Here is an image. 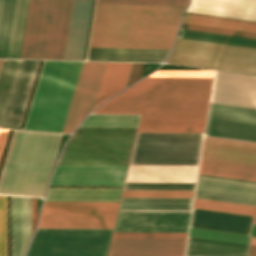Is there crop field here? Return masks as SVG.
Masks as SVG:
<instances>
[{
	"label": "crop field",
	"instance_id": "crop-field-7",
	"mask_svg": "<svg viewBox=\"0 0 256 256\" xmlns=\"http://www.w3.org/2000/svg\"><path fill=\"white\" fill-rule=\"evenodd\" d=\"M199 174L256 181V166L201 159ZM203 175L195 197L256 206V182Z\"/></svg>",
	"mask_w": 256,
	"mask_h": 256
},
{
	"label": "crop field",
	"instance_id": "crop-field-13",
	"mask_svg": "<svg viewBox=\"0 0 256 256\" xmlns=\"http://www.w3.org/2000/svg\"><path fill=\"white\" fill-rule=\"evenodd\" d=\"M108 63L84 62L62 132H73L94 107Z\"/></svg>",
	"mask_w": 256,
	"mask_h": 256
},
{
	"label": "crop field",
	"instance_id": "crop-field-47",
	"mask_svg": "<svg viewBox=\"0 0 256 256\" xmlns=\"http://www.w3.org/2000/svg\"><path fill=\"white\" fill-rule=\"evenodd\" d=\"M253 223H256V217H255V220H254V222Z\"/></svg>",
	"mask_w": 256,
	"mask_h": 256
},
{
	"label": "crop field",
	"instance_id": "crop-field-39",
	"mask_svg": "<svg viewBox=\"0 0 256 256\" xmlns=\"http://www.w3.org/2000/svg\"><path fill=\"white\" fill-rule=\"evenodd\" d=\"M0 256H7L6 197L0 196Z\"/></svg>",
	"mask_w": 256,
	"mask_h": 256
},
{
	"label": "crop field",
	"instance_id": "crop-field-6",
	"mask_svg": "<svg viewBox=\"0 0 256 256\" xmlns=\"http://www.w3.org/2000/svg\"><path fill=\"white\" fill-rule=\"evenodd\" d=\"M136 130L78 127L57 165L128 166Z\"/></svg>",
	"mask_w": 256,
	"mask_h": 256
},
{
	"label": "crop field",
	"instance_id": "crop-field-37",
	"mask_svg": "<svg viewBox=\"0 0 256 256\" xmlns=\"http://www.w3.org/2000/svg\"><path fill=\"white\" fill-rule=\"evenodd\" d=\"M187 233L114 232L112 238H186Z\"/></svg>",
	"mask_w": 256,
	"mask_h": 256
},
{
	"label": "crop field",
	"instance_id": "crop-field-5",
	"mask_svg": "<svg viewBox=\"0 0 256 256\" xmlns=\"http://www.w3.org/2000/svg\"><path fill=\"white\" fill-rule=\"evenodd\" d=\"M82 63L44 62L24 129L62 131Z\"/></svg>",
	"mask_w": 256,
	"mask_h": 256
},
{
	"label": "crop field",
	"instance_id": "crop-field-14",
	"mask_svg": "<svg viewBox=\"0 0 256 256\" xmlns=\"http://www.w3.org/2000/svg\"><path fill=\"white\" fill-rule=\"evenodd\" d=\"M127 168L57 166L50 185L123 186Z\"/></svg>",
	"mask_w": 256,
	"mask_h": 256
},
{
	"label": "crop field",
	"instance_id": "crop-field-15",
	"mask_svg": "<svg viewBox=\"0 0 256 256\" xmlns=\"http://www.w3.org/2000/svg\"><path fill=\"white\" fill-rule=\"evenodd\" d=\"M210 102L256 108V77L215 72Z\"/></svg>",
	"mask_w": 256,
	"mask_h": 256
},
{
	"label": "crop field",
	"instance_id": "crop-field-43",
	"mask_svg": "<svg viewBox=\"0 0 256 256\" xmlns=\"http://www.w3.org/2000/svg\"><path fill=\"white\" fill-rule=\"evenodd\" d=\"M8 131L9 130L0 129V157H1V153L3 150L4 144H5V141H6Z\"/></svg>",
	"mask_w": 256,
	"mask_h": 256
},
{
	"label": "crop field",
	"instance_id": "crop-field-18",
	"mask_svg": "<svg viewBox=\"0 0 256 256\" xmlns=\"http://www.w3.org/2000/svg\"><path fill=\"white\" fill-rule=\"evenodd\" d=\"M40 61L22 60L1 127L19 129Z\"/></svg>",
	"mask_w": 256,
	"mask_h": 256
},
{
	"label": "crop field",
	"instance_id": "crop-field-46",
	"mask_svg": "<svg viewBox=\"0 0 256 256\" xmlns=\"http://www.w3.org/2000/svg\"><path fill=\"white\" fill-rule=\"evenodd\" d=\"M251 244L256 245V238L250 237Z\"/></svg>",
	"mask_w": 256,
	"mask_h": 256
},
{
	"label": "crop field",
	"instance_id": "crop-field-1",
	"mask_svg": "<svg viewBox=\"0 0 256 256\" xmlns=\"http://www.w3.org/2000/svg\"><path fill=\"white\" fill-rule=\"evenodd\" d=\"M212 78H146L93 113L206 114ZM206 115H142L139 126H204Z\"/></svg>",
	"mask_w": 256,
	"mask_h": 256
},
{
	"label": "crop field",
	"instance_id": "crop-field-48",
	"mask_svg": "<svg viewBox=\"0 0 256 256\" xmlns=\"http://www.w3.org/2000/svg\"><path fill=\"white\" fill-rule=\"evenodd\" d=\"M1 61H2V60H0V65H1Z\"/></svg>",
	"mask_w": 256,
	"mask_h": 256
},
{
	"label": "crop field",
	"instance_id": "crop-field-4",
	"mask_svg": "<svg viewBox=\"0 0 256 256\" xmlns=\"http://www.w3.org/2000/svg\"><path fill=\"white\" fill-rule=\"evenodd\" d=\"M62 134L15 130L0 194L42 197Z\"/></svg>",
	"mask_w": 256,
	"mask_h": 256
},
{
	"label": "crop field",
	"instance_id": "crop-field-38",
	"mask_svg": "<svg viewBox=\"0 0 256 256\" xmlns=\"http://www.w3.org/2000/svg\"><path fill=\"white\" fill-rule=\"evenodd\" d=\"M195 184H125L124 189L194 190Z\"/></svg>",
	"mask_w": 256,
	"mask_h": 256
},
{
	"label": "crop field",
	"instance_id": "crop-field-30",
	"mask_svg": "<svg viewBox=\"0 0 256 256\" xmlns=\"http://www.w3.org/2000/svg\"><path fill=\"white\" fill-rule=\"evenodd\" d=\"M182 23L256 33V24L186 14Z\"/></svg>",
	"mask_w": 256,
	"mask_h": 256
},
{
	"label": "crop field",
	"instance_id": "crop-field-40",
	"mask_svg": "<svg viewBox=\"0 0 256 256\" xmlns=\"http://www.w3.org/2000/svg\"><path fill=\"white\" fill-rule=\"evenodd\" d=\"M212 74L213 71H157L148 77H212Z\"/></svg>",
	"mask_w": 256,
	"mask_h": 256
},
{
	"label": "crop field",
	"instance_id": "crop-field-45",
	"mask_svg": "<svg viewBox=\"0 0 256 256\" xmlns=\"http://www.w3.org/2000/svg\"><path fill=\"white\" fill-rule=\"evenodd\" d=\"M251 256H256V246L251 245Z\"/></svg>",
	"mask_w": 256,
	"mask_h": 256
},
{
	"label": "crop field",
	"instance_id": "crop-field-34",
	"mask_svg": "<svg viewBox=\"0 0 256 256\" xmlns=\"http://www.w3.org/2000/svg\"><path fill=\"white\" fill-rule=\"evenodd\" d=\"M188 237L249 245V236L190 227Z\"/></svg>",
	"mask_w": 256,
	"mask_h": 256
},
{
	"label": "crop field",
	"instance_id": "crop-field-41",
	"mask_svg": "<svg viewBox=\"0 0 256 256\" xmlns=\"http://www.w3.org/2000/svg\"><path fill=\"white\" fill-rule=\"evenodd\" d=\"M181 28H183V29H190V30L205 31V32H212V33L227 34V35H234V36L256 38V34L245 33V32H237V31H230V30H223V29H215V28H208V27L185 25V24H182Z\"/></svg>",
	"mask_w": 256,
	"mask_h": 256
},
{
	"label": "crop field",
	"instance_id": "crop-field-16",
	"mask_svg": "<svg viewBox=\"0 0 256 256\" xmlns=\"http://www.w3.org/2000/svg\"><path fill=\"white\" fill-rule=\"evenodd\" d=\"M190 213H118L114 231L187 232Z\"/></svg>",
	"mask_w": 256,
	"mask_h": 256
},
{
	"label": "crop field",
	"instance_id": "crop-field-23",
	"mask_svg": "<svg viewBox=\"0 0 256 256\" xmlns=\"http://www.w3.org/2000/svg\"><path fill=\"white\" fill-rule=\"evenodd\" d=\"M253 218L193 209L190 226L249 235Z\"/></svg>",
	"mask_w": 256,
	"mask_h": 256
},
{
	"label": "crop field",
	"instance_id": "crop-field-24",
	"mask_svg": "<svg viewBox=\"0 0 256 256\" xmlns=\"http://www.w3.org/2000/svg\"><path fill=\"white\" fill-rule=\"evenodd\" d=\"M193 199L122 198L118 212H190Z\"/></svg>",
	"mask_w": 256,
	"mask_h": 256
},
{
	"label": "crop field",
	"instance_id": "crop-field-21",
	"mask_svg": "<svg viewBox=\"0 0 256 256\" xmlns=\"http://www.w3.org/2000/svg\"><path fill=\"white\" fill-rule=\"evenodd\" d=\"M187 12L256 22V0H192Z\"/></svg>",
	"mask_w": 256,
	"mask_h": 256
},
{
	"label": "crop field",
	"instance_id": "crop-field-27",
	"mask_svg": "<svg viewBox=\"0 0 256 256\" xmlns=\"http://www.w3.org/2000/svg\"><path fill=\"white\" fill-rule=\"evenodd\" d=\"M185 256H249V246L188 238Z\"/></svg>",
	"mask_w": 256,
	"mask_h": 256
},
{
	"label": "crop field",
	"instance_id": "crop-field-12",
	"mask_svg": "<svg viewBox=\"0 0 256 256\" xmlns=\"http://www.w3.org/2000/svg\"><path fill=\"white\" fill-rule=\"evenodd\" d=\"M205 135L256 142V109L210 103Z\"/></svg>",
	"mask_w": 256,
	"mask_h": 256
},
{
	"label": "crop field",
	"instance_id": "crop-field-22",
	"mask_svg": "<svg viewBox=\"0 0 256 256\" xmlns=\"http://www.w3.org/2000/svg\"><path fill=\"white\" fill-rule=\"evenodd\" d=\"M11 256H22L31 238V198L10 197Z\"/></svg>",
	"mask_w": 256,
	"mask_h": 256
},
{
	"label": "crop field",
	"instance_id": "crop-field-3",
	"mask_svg": "<svg viewBox=\"0 0 256 256\" xmlns=\"http://www.w3.org/2000/svg\"><path fill=\"white\" fill-rule=\"evenodd\" d=\"M184 8L96 4L89 47L170 49Z\"/></svg>",
	"mask_w": 256,
	"mask_h": 256
},
{
	"label": "crop field",
	"instance_id": "crop-field-17",
	"mask_svg": "<svg viewBox=\"0 0 256 256\" xmlns=\"http://www.w3.org/2000/svg\"><path fill=\"white\" fill-rule=\"evenodd\" d=\"M186 239H112L108 256H184Z\"/></svg>",
	"mask_w": 256,
	"mask_h": 256
},
{
	"label": "crop field",
	"instance_id": "crop-field-20",
	"mask_svg": "<svg viewBox=\"0 0 256 256\" xmlns=\"http://www.w3.org/2000/svg\"><path fill=\"white\" fill-rule=\"evenodd\" d=\"M201 158L256 165V143L205 137Z\"/></svg>",
	"mask_w": 256,
	"mask_h": 256
},
{
	"label": "crop field",
	"instance_id": "crop-field-10",
	"mask_svg": "<svg viewBox=\"0 0 256 256\" xmlns=\"http://www.w3.org/2000/svg\"><path fill=\"white\" fill-rule=\"evenodd\" d=\"M112 229H38L26 256H106Z\"/></svg>",
	"mask_w": 256,
	"mask_h": 256
},
{
	"label": "crop field",
	"instance_id": "crop-field-19",
	"mask_svg": "<svg viewBox=\"0 0 256 256\" xmlns=\"http://www.w3.org/2000/svg\"><path fill=\"white\" fill-rule=\"evenodd\" d=\"M198 166L130 165L126 182L195 183Z\"/></svg>",
	"mask_w": 256,
	"mask_h": 256
},
{
	"label": "crop field",
	"instance_id": "crop-field-35",
	"mask_svg": "<svg viewBox=\"0 0 256 256\" xmlns=\"http://www.w3.org/2000/svg\"><path fill=\"white\" fill-rule=\"evenodd\" d=\"M194 191L124 190L122 197L193 198Z\"/></svg>",
	"mask_w": 256,
	"mask_h": 256
},
{
	"label": "crop field",
	"instance_id": "crop-field-42",
	"mask_svg": "<svg viewBox=\"0 0 256 256\" xmlns=\"http://www.w3.org/2000/svg\"><path fill=\"white\" fill-rule=\"evenodd\" d=\"M204 127H139L138 132H203Z\"/></svg>",
	"mask_w": 256,
	"mask_h": 256
},
{
	"label": "crop field",
	"instance_id": "crop-field-28",
	"mask_svg": "<svg viewBox=\"0 0 256 256\" xmlns=\"http://www.w3.org/2000/svg\"><path fill=\"white\" fill-rule=\"evenodd\" d=\"M131 64L132 63L108 64L95 107L124 89Z\"/></svg>",
	"mask_w": 256,
	"mask_h": 256
},
{
	"label": "crop field",
	"instance_id": "crop-field-9",
	"mask_svg": "<svg viewBox=\"0 0 256 256\" xmlns=\"http://www.w3.org/2000/svg\"><path fill=\"white\" fill-rule=\"evenodd\" d=\"M203 133H138L130 164L198 165Z\"/></svg>",
	"mask_w": 256,
	"mask_h": 256
},
{
	"label": "crop field",
	"instance_id": "crop-field-31",
	"mask_svg": "<svg viewBox=\"0 0 256 256\" xmlns=\"http://www.w3.org/2000/svg\"><path fill=\"white\" fill-rule=\"evenodd\" d=\"M178 37L256 48V39L180 29Z\"/></svg>",
	"mask_w": 256,
	"mask_h": 256
},
{
	"label": "crop field",
	"instance_id": "crop-field-32",
	"mask_svg": "<svg viewBox=\"0 0 256 256\" xmlns=\"http://www.w3.org/2000/svg\"><path fill=\"white\" fill-rule=\"evenodd\" d=\"M139 115H90L81 126L137 127Z\"/></svg>",
	"mask_w": 256,
	"mask_h": 256
},
{
	"label": "crop field",
	"instance_id": "crop-field-11",
	"mask_svg": "<svg viewBox=\"0 0 256 256\" xmlns=\"http://www.w3.org/2000/svg\"><path fill=\"white\" fill-rule=\"evenodd\" d=\"M119 202H45L38 228H112Z\"/></svg>",
	"mask_w": 256,
	"mask_h": 256
},
{
	"label": "crop field",
	"instance_id": "crop-field-29",
	"mask_svg": "<svg viewBox=\"0 0 256 256\" xmlns=\"http://www.w3.org/2000/svg\"><path fill=\"white\" fill-rule=\"evenodd\" d=\"M21 60H3L0 68V126Z\"/></svg>",
	"mask_w": 256,
	"mask_h": 256
},
{
	"label": "crop field",
	"instance_id": "crop-field-44",
	"mask_svg": "<svg viewBox=\"0 0 256 256\" xmlns=\"http://www.w3.org/2000/svg\"><path fill=\"white\" fill-rule=\"evenodd\" d=\"M250 236L256 237V224H253L250 231Z\"/></svg>",
	"mask_w": 256,
	"mask_h": 256
},
{
	"label": "crop field",
	"instance_id": "crop-field-8",
	"mask_svg": "<svg viewBox=\"0 0 256 256\" xmlns=\"http://www.w3.org/2000/svg\"><path fill=\"white\" fill-rule=\"evenodd\" d=\"M167 63L256 74V49L178 38Z\"/></svg>",
	"mask_w": 256,
	"mask_h": 256
},
{
	"label": "crop field",
	"instance_id": "crop-field-25",
	"mask_svg": "<svg viewBox=\"0 0 256 256\" xmlns=\"http://www.w3.org/2000/svg\"><path fill=\"white\" fill-rule=\"evenodd\" d=\"M168 52L169 50L89 48L87 59L162 62Z\"/></svg>",
	"mask_w": 256,
	"mask_h": 256
},
{
	"label": "crop field",
	"instance_id": "crop-field-33",
	"mask_svg": "<svg viewBox=\"0 0 256 256\" xmlns=\"http://www.w3.org/2000/svg\"><path fill=\"white\" fill-rule=\"evenodd\" d=\"M193 208L227 212V213H235V214H243V215H251V216H254L255 210H256V207L254 206H247V205L198 199V198H195Z\"/></svg>",
	"mask_w": 256,
	"mask_h": 256
},
{
	"label": "crop field",
	"instance_id": "crop-field-36",
	"mask_svg": "<svg viewBox=\"0 0 256 256\" xmlns=\"http://www.w3.org/2000/svg\"><path fill=\"white\" fill-rule=\"evenodd\" d=\"M188 0H97L96 3L185 6Z\"/></svg>",
	"mask_w": 256,
	"mask_h": 256
},
{
	"label": "crop field",
	"instance_id": "crop-field-26",
	"mask_svg": "<svg viewBox=\"0 0 256 256\" xmlns=\"http://www.w3.org/2000/svg\"><path fill=\"white\" fill-rule=\"evenodd\" d=\"M122 189L49 188L45 201H119Z\"/></svg>",
	"mask_w": 256,
	"mask_h": 256
},
{
	"label": "crop field",
	"instance_id": "crop-field-2",
	"mask_svg": "<svg viewBox=\"0 0 256 256\" xmlns=\"http://www.w3.org/2000/svg\"><path fill=\"white\" fill-rule=\"evenodd\" d=\"M18 0H0V58H9ZM29 0H19L10 57H20ZM73 0H30L21 58L63 59Z\"/></svg>",
	"mask_w": 256,
	"mask_h": 256
}]
</instances>
